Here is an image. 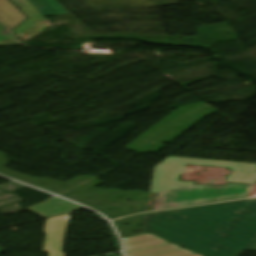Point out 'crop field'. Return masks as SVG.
Returning <instances> with one entry per match:
<instances>
[{
  "label": "crop field",
  "instance_id": "8a807250",
  "mask_svg": "<svg viewBox=\"0 0 256 256\" xmlns=\"http://www.w3.org/2000/svg\"><path fill=\"white\" fill-rule=\"evenodd\" d=\"M186 164L230 168L234 172L227 181L256 182V164L169 157L154 169L150 192L158 195L152 211L249 197L253 185H193L178 181L180 173L185 172Z\"/></svg>",
  "mask_w": 256,
  "mask_h": 256
},
{
  "label": "crop field",
  "instance_id": "28ad6ade",
  "mask_svg": "<svg viewBox=\"0 0 256 256\" xmlns=\"http://www.w3.org/2000/svg\"><path fill=\"white\" fill-rule=\"evenodd\" d=\"M19 44L11 33L0 23V46Z\"/></svg>",
  "mask_w": 256,
  "mask_h": 256
},
{
  "label": "crop field",
  "instance_id": "3316defc",
  "mask_svg": "<svg viewBox=\"0 0 256 256\" xmlns=\"http://www.w3.org/2000/svg\"><path fill=\"white\" fill-rule=\"evenodd\" d=\"M50 25V22L48 20L43 21L37 25L32 26L29 28L26 32H24L21 36L18 38L24 42L36 35H38L40 32H42L45 28H47ZM31 40V39H30ZM29 41V40H28ZM27 42V41H26Z\"/></svg>",
  "mask_w": 256,
  "mask_h": 256
},
{
  "label": "crop field",
  "instance_id": "d8731c3e",
  "mask_svg": "<svg viewBox=\"0 0 256 256\" xmlns=\"http://www.w3.org/2000/svg\"><path fill=\"white\" fill-rule=\"evenodd\" d=\"M27 17L22 14L8 0H0V20L10 29L20 22L26 20ZM18 26V25H17Z\"/></svg>",
  "mask_w": 256,
  "mask_h": 256
},
{
  "label": "crop field",
  "instance_id": "ac0d7876",
  "mask_svg": "<svg viewBox=\"0 0 256 256\" xmlns=\"http://www.w3.org/2000/svg\"><path fill=\"white\" fill-rule=\"evenodd\" d=\"M173 211L207 230L256 251V199Z\"/></svg>",
  "mask_w": 256,
  "mask_h": 256
},
{
  "label": "crop field",
  "instance_id": "5a996713",
  "mask_svg": "<svg viewBox=\"0 0 256 256\" xmlns=\"http://www.w3.org/2000/svg\"><path fill=\"white\" fill-rule=\"evenodd\" d=\"M43 15L70 13L56 0H29Z\"/></svg>",
  "mask_w": 256,
  "mask_h": 256
},
{
  "label": "crop field",
  "instance_id": "412701ff",
  "mask_svg": "<svg viewBox=\"0 0 256 256\" xmlns=\"http://www.w3.org/2000/svg\"><path fill=\"white\" fill-rule=\"evenodd\" d=\"M126 256H201L150 234L123 240Z\"/></svg>",
  "mask_w": 256,
  "mask_h": 256
},
{
  "label": "crop field",
  "instance_id": "e52e79f7",
  "mask_svg": "<svg viewBox=\"0 0 256 256\" xmlns=\"http://www.w3.org/2000/svg\"><path fill=\"white\" fill-rule=\"evenodd\" d=\"M16 4L30 19L14 30L17 37L26 31L32 25L39 23L46 18L28 1V0H11Z\"/></svg>",
  "mask_w": 256,
  "mask_h": 256
},
{
  "label": "crop field",
  "instance_id": "dd49c442",
  "mask_svg": "<svg viewBox=\"0 0 256 256\" xmlns=\"http://www.w3.org/2000/svg\"><path fill=\"white\" fill-rule=\"evenodd\" d=\"M78 209H83L82 207H79L75 204H72L70 202H67L63 199H60L58 197L52 198L50 201L43 203L39 206H36L34 208L28 209L42 217L60 214L64 212L74 211Z\"/></svg>",
  "mask_w": 256,
  "mask_h": 256
},
{
  "label": "crop field",
  "instance_id": "d1516ede",
  "mask_svg": "<svg viewBox=\"0 0 256 256\" xmlns=\"http://www.w3.org/2000/svg\"><path fill=\"white\" fill-rule=\"evenodd\" d=\"M0 252H5V251L0 247Z\"/></svg>",
  "mask_w": 256,
  "mask_h": 256
},
{
  "label": "crop field",
  "instance_id": "f4fd0767",
  "mask_svg": "<svg viewBox=\"0 0 256 256\" xmlns=\"http://www.w3.org/2000/svg\"><path fill=\"white\" fill-rule=\"evenodd\" d=\"M69 214L49 218L46 220L44 233H47L43 251L50 252V256H65L61 252L68 222Z\"/></svg>",
  "mask_w": 256,
  "mask_h": 256
},
{
  "label": "crop field",
  "instance_id": "34b2d1b8",
  "mask_svg": "<svg viewBox=\"0 0 256 256\" xmlns=\"http://www.w3.org/2000/svg\"><path fill=\"white\" fill-rule=\"evenodd\" d=\"M141 229L204 256H238L244 250H249L191 223L172 211L146 214Z\"/></svg>",
  "mask_w": 256,
  "mask_h": 256
}]
</instances>
